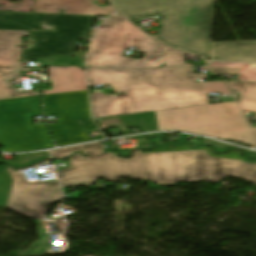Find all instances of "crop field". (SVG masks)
Segmentation results:
<instances>
[{"label": "crop field", "mask_w": 256, "mask_h": 256, "mask_svg": "<svg viewBox=\"0 0 256 256\" xmlns=\"http://www.w3.org/2000/svg\"><path fill=\"white\" fill-rule=\"evenodd\" d=\"M13 184L6 206L32 218H43L45 208L62 200L57 181L29 183L21 173L6 166Z\"/></svg>", "instance_id": "crop-field-9"}, {"label": "crop field", "mask_w": 256, "mask_h": 256, "mask_svg": "<svg viewBox=\"0 0 256 256\" xmlns=\"http://www.w3.org/2000/svg\"><path fill=\"white\" fill-rule=\"evenodd\" d=\"M12 180L5 167H0V205H5Z\"/></svg>", "instance_id": "crop-field-21"}, {"label": "crop field", "mask_w": 256, "mask_h": 256, "mask_svg": "<svg viewBox=\"0 0 256 256\" xmlns=\"http://www.w3.org/2000/svg\"><path fill=\"white\" fill-rule=\"evenodd\" d=\"M185 55L166 49L164 71L168 85L153 86L144 70L87 68L89 87L110 84L115 93L90 95L94 118L151 112L208 104L206 93L194 82L191 64Z\"/></svg>", "instance_id": "crop-field-1"}, {"label": "crop field", "mask_w": 256, "mask_h": 256, "mask_svg": "<svg viewBox=\"0 0 256 256\" xmlns=\"http://www.w3.org/2000/svg\"><path fill=\"white\" fill-rule=\"evenodd\" d=\"M142 156L147 179L160 185H176V181L217 182L227 176L243 178L256 185V165L209 157L204 150L148 153Z\"/></svg>", "instance_id": "crop-field-3"}, {"label": "crop field", "mask_w": 256, "mask_h": 256, "mask_svg": "<svg viewBox=\"0 0 256 256\" xmlns=\"http://www.w3.org/2000/svg\"><path fill=\"white\" fill-rule=\"evenodd\" d=\"M48 153H36V154H25V155H16V162H8V164H12L14 167H24L30 164H34L45 157H48Z\"/></svg>", "instance_id": "crop-field-22"}, {"label": "crop field", "mask_w": 256, "mask_h": 256, "mask_svg": "<svg viewBox=\"0 0 256 256\" xmlns=\"http://www.w3.org/2000/svg\"><path fill=\"white\" fill-rule=\"evenodd\" d=\"M232 90H238L244 111L256 112V82L228 81Z\"/></svg>", "instance_id": "crop-field-14"}, {"label": "crop field", "mask_w": 256, "mask_h": 256, "mask_svg": "<svg viewBox=\"0 0 256 256\" xmlns=\"http://www.w3.org/2000/svg\"><path fill=\"white\" fill-rule=\"evenodd\" d=\"M146 72L153 85L167 84L162 69H146Z\"/></svg>", "instance_id": "crop-field-24"}, {"label": "crop field", "mask_w": 256, "mask_h": 256, "mask_svg": "<svg viewBox=\"0 0 256 256\" xmlns=\"http://www.w3.org/2000/svg\"><path fill=\"white\" fill-rule=\"evenodd\" d=\"M200 85L203 87V89L206 91V93L210 92H222L227 95H231L227 86L224 84L223 81H217V82H199Z\"/></svg>", "instance_id": "crop-field-23"}, {"label": "crop field", "mask_w": 256, "mask_h": 256, "mask_svg": "<svg viewBox=\"0 0 256 256\" xmlns=\"http://www.w3.org/2000/svg\"><path fill=\"white\" fill-rule=\"evenodd\" d=\"M197 144H211V145L214 146V151L215 152H224L225 149L227 148L226 145L214 142L212 140H209V139H206V138H203V137H200Z\"/></svg>", "instance_id": "crop-field-25"}, {"label": "crop field", "mask_w": 256, "mask_h": 256, "mask_svg": "<svg viewBox=\"0 0 256 256\" xmlns=\"http://www.w3.org/2000/svg\"><path fill=\"white\" fill-rule=\"evenodd\" d=\"M83 150L84 154L87 156H98L103 154V149L100 142L90 143L85 145H80L76 147L64 148L56 151H50L52 157L67 158L68 155L74 151Z\"/></svg>", "instance_id": "crop-field-17"}, {"label": "crop field", "mask_w": 256, "mask_h": 256, "mask_svg": "<svg viewBox=\"0 0 256 256\" xmlns=\"http://www.w3.org/2000/svg\"><path fill=\"white\" fill-rule=\"evenodd\" d=\"M129 20L158 13L160 43L208 59L215 0H109Z\"/></svg>", "instance_id": "crop-field-2"}, {"label": "crop field", "mask_w": 256, "mask_h": 256, "mask_svg": "<svg viewBox=\"0 0 256 256\" xmlns=\"http://www.w3.org/2000/svg\"><path fill=\"white\" fill-rule=\"evenodd\" d=\"M256 114V113H255ZM254 132L256 133V128H253Z\"/></svg>", "instance_id": "crop-field-31"}, {"label": "crop field", "mask_w": 256, "mask_h": 256, "mask_svg": "<svg viewBox=\"0 0 256 256\" xmlns=\"http://www.w3.org/2000/svg\"><path fill=\"white\" fill-rule=\"evenodd\" d=\"M67 14L108 15L113 12L110 6L98 7L92 0H34L33 12ZM112 14V13H111Z\"/></svg>", "instance_id": "crop-field-11"}, {"label": "crop field", "mask_w": 256, "mask_h": 256, "mask_svg": "<svg viewBox=\"0 0 256 256\" xmlns=\"http://www.w3.org/2000/svg\"><path fill=\"white\" fill-rule=\"evenodd\" d=\"M152 140L158 145V147H157L155 150H153L152 152H163V151H189V150L205 149L206 152H207L210 156H215V155H213V154H211V153L209 152V148H207V147H199L198 149H192V148H189V147H188L189 144H184V145L179 146V147H170L168 143L160 142V141L162 140L161 137H156V138H153ZM142 153H148V152L142 151ZM215 157H221V158H227V159H238V160L244 161L245 163L256 164V160H246L245 158L239 157V152H237V151L230 152V153H228V154H226V155H223V156H215Z\"/></svg>", "instance_id": "crop-field-16"}, {"label": "crop field", "mask_w": 256, "mask_h": 256, "mask_svg": "<svg viewBox=\"0 0 256 256\" xmlns=\"http://www.w3.org/2000/svg\"><path fill=\"white\" fill-rule=\"evenodd\" d=\"M159 130H180L240 141L255 140L235 102L156 112Z\"/></svg>", "instance_id": "crop-field-6"}, {"label": "crop field", "mask_w": 256, "mask_h": 256, "mask_svg": "<svg viewBox=\"0 0 256 256\" xmlns=\"http://www.w3.org/2000/svg\"><path fill=\"white\" fill-rule=\"evenodd\" d=\"M127 127L137 125L142 132L158 130L155 112L120 116Z\"/></svg>", "instance_id": "crop-field-15"}, {"label": "crop field", "mask_w": 256, "mask_h": 256, "mask_svg": "<svg viewBox=\"0 0 256 256\" xmlns=\"http://www.w3.org/2000/svg\"><path fill=\"white\" fill-rule=\"evenodd\" d=\"M40 63L44 65H56V66H69V65H77L83 66V61L74 59L71 57H67L64 55L51 56L46 58L38 59Z\"/></svg>", "instance_id": "crop-field-20"}, {"label": "crop field", "mask_w": 256, "mask_h": 256, "mask_svg": "<svg viewBox=\"0 0 256 256\" xmlns=\"http://www.w3.org/2000/svg\"><path fill=\"white\" fill-rule=\"evenodd\" d=\"M30 31H0V100L39 95L36 92L17 94L8 79L19 77V71H33L27 63L18 62L22 51L20 37Z\"/></svg>", "instance_id": "crop-field-10"}, {"label": "crop field", "mask_w": 256, "mask_h": 256, "mask_svg": "<svg viewBox=\"0 0 256 256\" xmlns=\"http://www.w3.org/2000/svg\"><path fill=\"white\" fill-rule=\"evenodd\" d=\"M209 67L240 68L238 81H256V64L210 62Z\"/></svg>", "instance_id": "crop-field-18"}, {"label": "crop field", "mask_w": 256, "mask_h": 256, "mask_svg": "<svg viewBox=\"0 0 256 256\" xmlns=\"http://www.w3.org/2000/svg\"><path fill=\"white\" fill-rule=\"evenodd\" d=\"M58 16H59V14H45L43 22L54 25L53 19Z\"/></svg>", "instance_id": "crop-field-27"}, {"label": "crop field", "mask_w": 256, "mask_h": 256, "mask_svg": "<svg viewBox=\"0 0 256 256\" xmlns=\"http://www.w3.org/2000/svg\"><path fill=\"white\" fill-rule=\"evenodd\" d=\"M41 115L39 96L0 101V144L8 152L54 147L44 126L33 127Z\"/></svg>", "instance_id": "crop-field-7"}, {"label": "crop field", "mask_w": 256, "mask_h": 256, "mask_svg": "<svg viewBox=\"0 0 256 256\" xmlns=\"http://www.w3.org/2000/svg\"><path fill=\"white\" fill-rule=\"evenodd\" d=\"M209 60L256 62V40L211 43Z\"/></svg>", "instance_id": "crop-field-13"}, {"label": "crop field", "mask_w": 256, "mask_h": 256, "mask_svg": "<svg viewBox=\"0 0 256 256\" xmlns=\"http://www.w3.org/2000/svg\"><path fill=\"white\" fill-rule=\"evenodd\" d=\"M217 75L238 74L239 69L210 68Z\"/></svg>", "instance_id": "crop-field-26"}, {"label": "crop field", "mask_w": 256, "mask_h": 256, "mask_svg": "<svg viewBox=\"0 0 256 256\" xmlns=\"http://www.w3.org/2000/svg\"><path fill=\"white\" fill-rule=\"evenodd\" d=\"M187 137H188V135H186V134H181V136H180L178 142H180V141H185Z\"/></svg>", "instance_id": "crop-field-29"}, {"label": "crop field", "mask_w": 256, "mask_h": 256, "mask_svg": "<svg viewBox=\"0 0 256 256\" xmlns=\"http://www.w3.org/2000/svg\"><path fill=\"white\" fill-rule=\"evenodd\" d=\"M44 14L0 11V30H31L29 37L35 43L23 50L19 61L57 54L73 55L77 38L91 29L94 16L60 14L54 20L56 32L39 30Z\"/></svg>", "instance_id": "crop-field-5"}, {"label": "crop field", "mask_w": 256, "mask_h": 256, "mask_svg": "<svg viewBox=\"0 0 256 256\" xmlns=\"http://www.w3.org/2000/svg\"><path fill=\"white\" fill-rule=\"evenodd\" d=\"M48 72L52 90L43 91V95L86 90L84 70L79 67H48Z\"/></svg>", "instance_id": "crop-field-12"}, {"label": "crop field", "mask_w": 256, "mask_h": 256, "mask_svg": "<svg viewBox=\"0 0 256 256\" xmlns=\"http://www.w3.org/2000/svg\"><path fill=\"white\" fill-rule=\"evenodd\" d=\"M70 164V167L56 172L62 186L92 185L97 178L106 181H116L126 176H131L133 180L146 179L141 151L128 160L115 157L114 152L100 160H87L75 154Z\"/></svg>", "instance_id": "crop-field-8"}, {"label": "crop field", "mask_w": 256, "mask_h": 256, "mask_svg": "<svg viewBox=\"0 0 256 256\" xmlns=\"http://www.w3.org/2000/svg\"><path fill=\"white\" fill-rule=\"evenodd\" d=\"M36 224L39 241L33 247V252L52 250L49 222L38 221Z\"/></svg>", "instance_id": "crop-field-19"}, {"label": "crop field", "mask_w": 256, "mask_h": 256, "mask_svg": "<svg viewBox=\"0 0 256 256\" xmlns=\"http://www.w3.org/2000/svg\"><path fill=\"white\" fill-rule=\"evenodd\" d=\"M247 155L251 158H256V153L255 152H248Z\"/></svg>", "instance_id": "crop-field-30"}, {"label": "crop field", "mask_w": 256, "mask_h": 256, "mask_svg": "<svg viewBox=\"0 0 256 256\" xmlns=\"http://www.w3.org/2000/svg\"><path fill=\"white\" fill-rule=\"evenodd\" d=\"M129 47H137L140 53L160 54L163 50L121 16L110 17L90 43L87 66L152 68L163 63L164 55H146L141 60L120 57Z\"/></svg>", "instance_id": "crop-field-4"}, {"label": "crop field", "mask_w": 256, "mask_h": 256, "mask_svg": "<svg viewBox=\"0 0 256 256\" xmlns=\"http://www.w3.org/2000/svg\"><path fill=\"white\" fill-rule=\"evenodd\" d=\"M36 242H37V241H36ZM36 242H34V243L32 244V247L35 245ZM32 247L29 248L28 250H26V251H25L24 253H22L20 256H41V255H42L43 252H41V253H33V252H32Z\"/></svg>", "instance_id": "crop-field-28"}]
</instances>
